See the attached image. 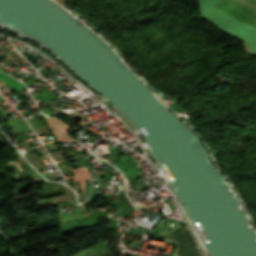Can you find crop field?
Instances as JSON below:
<instances>
[{
    "label": "crop field",
    "mask_w": 256,
    "mask_h": 256,
    "mask_svg": "<svg viewBox=\"0 0 256 256\" xmlns=\"http://www.w3.org/2000/svg\"><path fill=\"white\" fill-rule=\"evenodd\" d=\"M256 13V0H236ZM234 0H218L214 6L234 15L233 19L256 26V14Z\"/></svg>",
    "instance_id": "8a807250"
},
{
    "label": "crop field",
    "mask_w": 256,
    "mask_h": 256,
    "mask_svg": "<svg viewBox=\"0 0 256 256\" xmlns=\"http://www.w3.org/2000/svg\"><path fill=\"white\" fill-rule=\"evenodd\" d=\"M172 235L178 242L177 253L179 256H200L185 228L176 230ZM177 253L173 256H178Z\"/></svg>",
    "instance_id": "ac0d7876"
}]
</instances>
